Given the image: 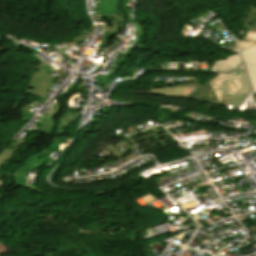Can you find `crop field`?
<instances>
[{
    "label": "crop field",
    "instance_id": "8a807250",
    "mask_svg": "<svg viewBox=\"0 0 256 256\" xmlns=\"http://www.w3.org/2000/svg\"><path fill=\"white\" fill-rule=\"evenodd\" d=\"M210 84L222 106H226L223 97L229 96L233 107L237 108L251 92L243 66L230 74H219Z\"/></svg>",
    "mask_w": 256,
    "mask_h": 256
},
{
    "label": "crop field",
    "instance_id": "ac0d7876",
    "mask_svg": "<svg viewBox=\"0 0 256 256\" xmlns=\"http://www.w3.org/2000/svg\"><path fill=\"white\" fill-rule=\"evenodd\" d=\"M185 85L166 84L164 88L151 89L150 92L141 91H126L127 93H147L160 96L176 97V98H189L197 101L218 104V101L210 87L209 82L205 85H200L198 79Z\"/></svg>",
    "mask_w": 256,
    "mask_h": 256
},
{
    "label": "crop field",
    "instance_id": "34b2d1b8",
    "mask_svg": "<svg viewBox=\"0 0 256 256\" xmlns=\"http://www.w3.org/2000/svg\"><path fill=\"white\" fill-rule=\"evenodd\" d=\"M245 63L248 80L251 84V89L256 92V48L251 47L241 52Z\"/></svg>",
    "mask_w": 256,
    "mask_h": 256
},
{
    "label": "crop field",
    "instance_id": "412701ff",
    "mask_svg": "<svg viewBox=\"0 0 256 256\" xmlns=\"http://www.w3.org/2000/svg\"><path fill=\"white\" fill-rule=\"evenodd\" d=\"M240 65H242L241 58L238 54H235L228 56L226 60L213 63L209 72L229 73Z\"/></svg>",
    "mask_w": 256,
    "mask_h": 256
},
{
    "label": "crop field",
    "instance_id": "f4fd0767",
    "mask_svg": "<svg viewBox=\"0 0 256 256\" xmlns=\"http://www.w3.org/2000/svg\"><path fill=\"white\" fill-rule=\"evenodd\" d=\"M26 140H21L17 143L15 142H11L10 145L5 149L3 150L1 153H0V168L2 166V164L13 154L15 153L20 147H22L20 144L25 142Z\"/></svg>",
    "mask_w": 256,
    "mask_h": 256
},
{
    "label": "crop field",
    "instance_id": "dd49c442",
    "mask_svg": "<svg viewBox=\"0 0 256 256\" xmlns=\"http://www.w3.org/2000/svg\"><path fill=\"white\" fill-rule=\"evenodd\" d=\"M254 44H256V33L250 31L247 32L242 40H237L238 51L244 50Z\"/></svg>",
    "mask_w": 256,
    "mask_h": 256
},
{
    "label": "crop field",
    "instance_id": "e52e79f7",
    "mask_svg": "<svg viewBox=\"0 0 256 256\" xmlns=\"http://www.w3.org/2000/svg\"><path fill=\"white\" fill-rule=\"evenodd\" d=\"M36 159V162H32L31 161V159ZM31 159H28V162L26 163V165L23 167V170L22 171H24V173L26 174V173H28L29 172V170L30 169H32V167H34V166H38L39 165V163H42V157H39V158H37V156H34L33 158H31Z\"/></svg>",
    "mask_w": 256,
    "mask_h": 256
},
{
    "label": "crop field",
    "instance_id": "d8731c3e",
    "mask_svg": "<svg viewBox=\"0 0 256 256\" xmlns=\"http://www.w3.org/2000/svg\"><path fill=\"white\" fill-rule=\"evenodd\" d=\"M250 31L256 32V23L253 25L252 28H250Z\"/></svg>",
    "mask_w": 256,
    "mask_h": 256
}]
</instances>
